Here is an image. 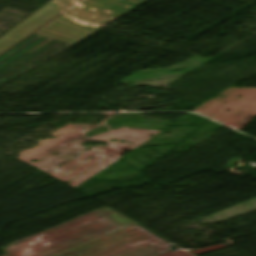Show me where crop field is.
I'll return each mask as SVG.
<instances>
[{"label":"crop field","mask_w":256,"mask_h":256,"mask_svg":"<svg viewBox=\"0 0 256 256\" xmlns=\"http://www.w3.org/2000/svg\"><path fill=\"white\" fill-rule=\"evenodd\" d=\"M137 225L105 207L0 249L5 256H58ZM26 239L28 241L12 246Z\"/></svg>","instance_id":"obj_2"},{"label":"crop field","mask_w":256,"mask_h":256,"mask_svg":"<svg viewBox=\"0 0 256 256\" xmlns=\"http://www.w3.org/2000/svg\"><path fill=\"white\" fill-rule=\"evenodd\" d=\"M146 1H83L0 56V86Z\"/></svg>","instance_id":"obj_1"},{"label":"crop field","mask_w":256,"mask_h":256,"mask_svg":"<svg viewBox=\"0 0 256 256\" xmlns=\"http://www.w3.org/2000/svg\"><path fill=\"white\" fill-rule=\"evenodd\" d=\"M11 47H3V48H0V55L2 53H4L5 51H7L8 49H10Z\"/></svg>","instance_id":"obj_5"},{"label":"crop field","mask_w":256,"mask_h":256,"mask_svg":"<svg viewBox=\"0 0 256 256\" xmlns=\"http://www.w3.org/2000/svg\"><path fill=\"white\" fill-rule=\"evenodd\" d=\"M82 1L83 0H51L46 5L68 11Z\"/></svg>","instance_id":"obj_4"},{"label":"crop field","mask_w":256,"mask_h":256,"mask_svg":"<svg viewBox=\"0 0 256 256\" xmlns=\"http://www.w3.org/2000/svg\"><path fill=\"white\" fill-rule=\"evenodd\" d=\"M66 11L44 5L0 37V47L14 46Z\"/></svg>","instance_id":"obj_3"}]
</instances>
